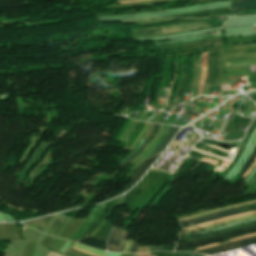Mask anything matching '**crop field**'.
<instances>
[{
	"label": "crop field",
	"instance_id": "obj_19",
	"mask_svg": "<svg viewBox=\"0 0 256 256\" xmlns=\"http://www.w3.org/2000/svg\"><path fill=\"white\" fill-rule=\"evenodd\" d=\"M50 218H51V216L43 218V219L32 221V223L30 224L29 227L37 229V230L42 232V230L44 229L45 225L47 224V222L49 221Z\"/></svg>",
	"mask_w": 256,
	"mask_h": 256
},
{
	"label": "crop field",
	"instance_id": "obj_6",
	"mask_svg": "<svg viewBox=\"0 0 256 256\" xmlns=\"http://www.w3.org/2000/svg\"><path fill=\"white\" fill-rule=\"evenodd\" d=\"M252 244H256V237L229 243V244H225V245H220V246H216V247H212V248H208V249H205L202 251H197V252L203 253V254H216V253L225 252V251H229V250H232L235 248L252 245Z\"/></svg>",
	"mask_w": 256,
	"mask_h": 256
},
{
	"label": "crop field",
	"instance_id": "obj_11",
	"mask_svg": "<svg viewBox=\"0 0 256 256\" xmlns=\"http://www.w3.org/2000/svg\"><path fill=\"white\" fill-rule=\"evenodd\" d=\"M179 127L171 126L168 134L164 137V139L161 141V143L158 145V147L155 149V151L152 153L151 156L154 154L161 152L164 150V148L167 146V144L170 142L171 138L175 134V132L178 130ZM150 156V157H151Z\"/></svg>",
	"mask_w": 256,
	"mask_h": 256
},
{
	"label": "crop field",
	"instance_id": "obj_1",
	"mask_svg": "<svg viewBox=\"0 0 256 256\" xmlns=\"http://www.w3.org/2000/svg\"><path fill=\"white\" fill-rule=\"evenodd\" d=\"M212 27L213 26L210 25L207 21L205 22V20H199V21L181 23V24H176V25L162 26V27H157V28H145V29H141V30H131V31H145V30H153V29H158V28H161L162 30L154 31V32L133 33V34H145V33H155V32L164 31V33H159V34L132 36L133 38H139V37L166 35V34L190 31V30H194V29L212 28Z\"/></svg>",
	"mask_w": 256,
	"mask_h": 256
},
{
	"label": "crop field",
	"instance_id": "obj_34",
	"mask_svg": "<svg viewBox=\"0 0 256 256\" xmlns=\"http://www.w3.org/2000/svg\"><path fill=\"white\" fill-rule=\"evenodd\" d=\"M256 164V159L254 161V163L252 164V166L246 171V173L243 176V179L245 178V176L250 172V170L254 167V165Z\"/></svg>",
	"mask_w": 256,
	"mask_h": 256
},
{
	"label": "crop field",
	"instance_id": "obj_23",
	"mask_svg": "<svg viewBox=\"0 0 256 256\" xmlns=\"http://www.w3.org/2000/svg\"><path fill=\"white\" fill-rule=\"evenodd\" d=\"M168 128H169V127L165 126V128H164V130H163L161 136L159 137V139L154 143V145H153V146L151 147V149L147 152V154H146L144 157L140 158L138 161H140V160H142V159H145V158H147V157H149V156L151 155V153H152L153 150L156 148V146L158 145V143L161 141V139H162V138L164 137V135L167 133Z\"/></svg>",
	"mask_w": 256,
	"mask_h": 256
},
{
	"label": "crop field",
	"instance_id": "obj_36",
	"mask_svg": "<svg viewBox=\"0 0 256 256\" xmlns=\"http://www.w3.org/2000/svg\"><path fill=\"white\" fill-rule=\"evenodd\" d=\"M180 256H204V255H196V254L187 253V254H183Z\"/></svg>",
	"mask_w": 256,
	"mask_h": 256
},
{
	"label": "crop field",
	"instance_id": "obj_22",
	"mask_svg": "<svg viewBox=\"0 0 256 256\" xmlns=\"http://www.w3.org/2000/svg\"><path fill=\"white\" fill-rule=\"evenodd\" d=\"M255 220L256 219H251V220H247V221H243V222H239V223H235V224H231V225H227V226H223V227H219V228H214V229L206 230V231L199 232V233H194V234L186 235V236H183L181 238H185V237H189V236H193V235H197V234H202V233H207V232H212V231L228 228V227H231V226H235V225H239V224H243V223H247V222H251V221H255Z\"/></svg>",
	"mask_w": 256,
	"mask_h": 256
},
{
	"label": "crop field",
	"instance_id": "obj_15",
	"mask_svg": "<svg viewBox=\"0 0 256 256\" xmlns=\"http://www.w3.org/2000/svg\"><path fill=\"white\" fill-rule=\"evenodd\" d=\"M255 202L256 201H254L252 203H255ZM247 204H251V203H243V204L233 205V206H229V207H225V208H221V209H217V210H213V211L202 212V213H199V214H195V215H191V216H188V217L180 218L178 220L179 221L188 220V219L196 218V217H199V216L207 215V214H210V213H214V212H217V211H221V210H225V209H229V208L237 207V206H243V205H247Z\"/></svg>",
	"mask_w": 256,
	"mask_h": 256
},
{
	"label": "crop field",
	"instance_id": "obj_32",
	"mask_svg": "<svg viewBox=\"0 0 256 256\" xmlns=\"http://www.w3.org/2000/svg\"><path fill=\"white\" fill-rule=\"evenodd\" d=\"M142 162H143V161H142ZM142 162H139V163L135 164V166L133 167V169L131 170V172L127 175V177H129V176L136 170V168H137Z\"/></svg>",
	"mask_w": 256,
	"mask_h": 256
},
{
	"label": "crop field",
	"instance_id": "obj_38",
	"mask_svg": "<svg viewBox=\"0 0 256 256\" xmlns=\"http://www.w3.org/2000/svg\"><path fill=\"white\" fill-rule=\"evenodd\" d=\"M26 229H27V227L23 225V227H22V234H23V232H24Z\"/></svg>",
	"mask_w": 256,
	"mask_h": 256
},
{
	"label": "crop field",
	"instance_id": "obj_28",
	"mask_svg": "<svg viewBox=\"0 0 256 256\" xmlns=\"http://www.w3.org/2000/svg\"><path fill=\"white\" fill-rule=\"evenodd\" d=\"M255 156H256V147H255V149H254V151H253V153H252V155H251L249 161L246 163V165H245V166L243 167V169L240 171L241 174H244V172L247 170V168L250 166V164H251L252 161L254 160Z\"/></svg>",
	"mask_w": 256,
	"mask_h": 256
},
{
	"label": "crop field",
	"instance_id": "obj_35",
	"mask_svg": "<svg viewBox=\"0 0 256 256\" xmlns=\"http://www.w3.org/2000/svg\"><path fill=\"white\" fill-rule=\"evenodd\" d=\"M137 1H144V0H126V1H118L117 3H128V2H137Z\"/></svg>",
	"mask_w": 256,
	"mask_h": 256
},
{
	"label": "crop field",
	"instance_id": "obj_5",
	"mask_svg": "<svg viewBox=\"0 0 256 256\" xmlns=\"http://www.w3.org/2000/svg\"><path fill=\"white\" fill-rule=\"evenodd\" d=\"M127 232L122 231V229L115 228L111 232L108 238L107 248L112 252H121L125 244L127 237Z\"/></svg>",
	"mask_w": 256,
	"mask_h": 256
},
{
	"label": "crop field",
	"instance_id": "obj_10",
	"mask_svg": "<svg viewBox=\"0 0 256 256\" xmlns=\"http://www.w3.org/2000/svg\"><path fill=\"white\" fill-rule=\"evenodd\" d=\"M67 220H68V217L63 216V215L57 217V219L55 220L49 234L52 235V236L58 237L60 235L63 227L65 226Z\"/></svg>",
	"mask_w": 256,
	"mask_h": 256
},
{
	"label": "crop field",
	"instance_id": "obj_26",
	"mask_svg": "<svg viewBox=\"0 0 256 256\" xmlns=\"http://www.w3.org/2000/svg\"><path fill=\"white\" fill-rule=\"evenodd\" d=\"M55 240H56V238L46 235V237L42 241L41 245H44V246L50 248Z\"/></svg>",
	"mask_w": 256,
	"mask_h": 256
},
{
	"label": "crop field",
	"instance_id": "obj_40",
	"mask_svg": "<svg viewBox=\"0 0 256 256\" xmlns=\"http://www.w3.org/2000/svg\"><path fill=\"white\" fill-rule=\"evenodd\" d=\"M238 1H243V0H238Z\"/></svg>",
	"mask_w": 256,
	"mask_h": 256
},
{
	"label": "crop field",
	"instance_id": "obj_29",
	"mask_svg": "<svg viewBox=\"0 0 256 256\" xmlns=\"http://www.w3.org/2000/svg\"><path fill=\"white\" fill-rule=\"evenodd\" d=\"M52 153H53V152L50 151V153L48 154V156L46 157V159L43 161V163H42L35 171H33V172L31 173V176H30L29 179H31V178L35 175V173L48 161V159L51 157Z\"/></svg>",
	"mask_w": 256,
	"mask_h": 256
},
{
	"label": "crop field",
	"instance_id": "obj_27",
	"mask_svg": "<svg viewBox=\"0 0 256 256\" xmlns=\"http://www.w3.org/2000/svg\"><path fill=\"white\" fill-rule=\"evenodd\" d=\"M182 71H183V76H182V79H181V81H180V83H179L176 101L179 100V97H180V94H181L182 82H183V80H184V78H185V58H184V60H183Z\"/></svg>",
	"mask_w": 256,
	"mask_h": 256
},
{
	"label": "crop field",
	"instance_id": "obj_16",
	"mask_svg": "<svg viewBox=\"0 0 256 256\" xmlns=\"http://www.w3.org/2000/svg\"><path fill=\"white\" fill-rule=\"evenodd\" d=\"M252 217H256V215L247 216V217H243V218H239V219L230 220V221H227V222H224V223H220V224H216V225H212V226H207V227L195 229V230H192V231H189V232L181 233L180 235L188 234V233H193V232H198V231L210 229V228H213V227H216V226H220V225H223V224L232 223V222H237V221L245 220V219L252 218Z\"/></svg>",
	"mask_w": 256,
	"mask_h": 256
},
{
	"label": "crop field",
	"instance_id": "obj_18",
	"mask_svg": "<svg viewBox=\"0 0 256 256\" xmlns=\"http://www.w3.org/2000/svg\"><path fill=\"white\" fill-rule=\"evenodd\" d=\"M248 7H256V0L235 2L231 4V10Z\"/></svg>",
	"mask_w": 256,
	"mask_h": 256
},
{
	"label": "crop field",
	"instance_id": "obj_8",
	"mask_svg": "<svg viewBox=\"0 0 256 256\" xmlns=\"http://www.w3.org/2000/svg\"><path fill=\"white\" fill-rule=\"evenodd\" d=\"M161 154V153H160ZM157 154L155 156H153L150 159L145 160L139 167L138 169L132 174V176L130 178L133 179V182L127 186L124 190L130 188L133 183L144 173V171L157 159V157L160 155ZM146 172V171H145Z\"/></svg>",
	"mask_w": 256,
	"mask_h": 256
},
{
	"label": "crop field",
	"instance_id": "obj_25",
	"mask_svg": "<svg viewBox=\"0 0 256 256\" xmlns=\"http://www.w3.org/2000/svg\"><path fill=\"white\" fill-rule=\"evenodd\" d=\"M252 236H256V234L248 235V236H243V237H239V238H235V239H231V240H229V242L241 240V239L252 237ZM229 242H226V243H229ZM222 244H224V243H222ZM216 245H220V244H218V243L210 244V245H207L205 247L196 248L195 251L202 250V249H205V248H208V247H212V246H216Z\"/></svg>",
	"mask_w": 256,
	"mask_h": 256
},
{
	"label": "crop field",
	"instance_id": "obj_20",
	"mask_svg": "<svg viewBox=\"0 0 256 256\" xmlns=\"http://www.w3.org/2000/svg\"><path fill=\"white\" fill-rule=\"evenodd\" d=\"M164 126L162 125L159 132L155 135V137L148 143V145L144 148V150L140 153V155L138 157H136L134 160H132L130 163H134L136 162L140 157L144 156L146 154V152L149 150V148L151 147V145L155 142V140L158 138V136L161 134L162 130H163ZM129 163V164H130Z\"/></svg>",
	"mask_w": 256,
	"mask_h": 256
},
{
	"label": "crop field",
	"instance_id": "obj_30",
	"mask_svg": "<svg viewBox=\"0 0 256 256\" xmlns=\"http://www.w3.org/2000/svg\"><path fill=\"white\" fill-rule=\"evenodd\" d=\"M144 141H145V139L142 138L141 141H140V143L138 144L137 148H136L132 153H130L128 156H126L123 160H125V159L129 158L131 155H133V154L139 149V147L142 145V143H143ZM123 160H122V161H123ZM122 161L119 162V163L121 164Z\"/></svg>",
	"mask_w": 256,
	"mask_h": 256
},
{
	"label": "crop field",
	"instance_id": "obj_13",
	"mask_svg": "<svg viewBox=\"0 0 256 256\" xmlns=\"http://www.w3.org/2000/svg\"><path fill=\"white\" fill-rule=\"evenodd\" d=\"M53 142L47 144V142H43L41 147L37 150L35 156L33 157L32 161L24 168L21 177L25 175V173L28 171V169L36 162V160L39 158V156L42 154V152L45 150V148L49 145H51Z\"/></svg>",
	"mask_w": 256,
	"mask_h": 256
},
{
	"label": "crop field",
	"instance_id": "obj_2",
	"mask_svg": "<svg viewBox=\"0 0 256 256\" xmlns=\"http://www.w3.org/2000/svg\"><path fill=\"white\" fill-rule=\"evenodd\" d=\"M252 232H256V225L252 226V227L242 228V229H238L235 231L223 233V234L216 235V236L209 237V238H204V239L191 241V242L180 243V244H178L176 251L187 250V249H191V248H194L197 246L207 245V244L213 243L218 240H222V239H226V238H230V237H234V236H238V235H242V234H246V233H252Z\"/></svg>",
	"mask_w": 256,
	"mask_h": 256
},
{
	"label": "crop field",
	"instance_id": "obj_17",
	"mask_svg": "<svg viewBox=\"0 0 256 256\" xmlns=\"http://www.w3.org/2000/svg\"><path fill=\"white\" fill-rule=\"evenodd\" d=\"M254 224H256V222L255 223H251V224H246V225H241V226L229 228V229H225V230H221V231H217V232H213V233H208V234H204V235L195 236V237H192V238H189V239H183V240H180L179 243L180 242H184V241L195 240V239H198V238H201V237L211 236V235H214V234H218V233H222V232H225V231H229V230H233V229H238V228H242V227H246V226L254 225Z\"/></svg>",
	"mask_w": 256,
	"mask_h": 256
},
{
	"label": "crop field",
	"instance_id": "obj_37",
	"mask_svg": "<svg viewBox=\"0 0 256 256\" xmlns=\"http://www.w3.org/2000/svg\"><path fill=\"white\" fill-rule=\"evenodd\" d=\"M256 179V175L250 180L249 185Z\"/></svg>",
	"mask_w": 256,
	"mask_h": 256
},
{
	"label": "crop field",
	"instance_id": "obj_21",
	"mask_svg": "<svg viewBox=\"0 0 256 256\" xmlns=\"http://www.w3.org/2000/svg\"><path fill=\"white\" fill-rule=\"evenodd\" d=\"M159 125L155 124V128L154 130L151 132V137L147 138L146 141L143 143V145L140 147V149L137 151V153L135 155H133L131 158L127 159L125 162H123L121 165H125L128 164L132 159H134L139 153L140 151L144 148V146L150 141V139L154 136V134L156 133L157 129H158Z\"/></svg>",
	"mask_w": 256,
	"mask_h": 256
},
{
	"label": "crop field",
	"instance_id": "obj_39",
	"mask_svg": "<svg viewBox=\"0 0 256 256\" xmlns=\"http://www.w3.org/2000/svg\"><path fill=\"white\" fill-rule=\"evenodd\" d=\"M31 223V221L30 222H26V223H24V224H26V225H28L29 226V224Z\"/></svg>",
	"mask_w": 256,
	"mask_h": 256
},
{
	"label": "crop field",
	"instance_id": "obj_31",
	"mask_svg": "<svg viewBox=\"0 0 256 256\" xmlns=\"http://www.w3.org/2000/svg\"><path fill=\"white\" fill-rule=\"evenodd\" d=\"M137 249H138V244L134 241L133 247H132V249H131L130 252L136 253V252H137Z\"/></svg>",
	"mask_w": 256,
	"mask_h": 256
},
{
	"label": "crop field",
	"instance_id": "obj_12",
	"mask_svg": "<svg viewBox=\"0 0 256 256\" xmlns=\"http://www.w3.org/2000/svg\"><path fill=\"white\" fill-rule=\"evenodd\" d=\"M72 248L83 251V252H85L89 255H92V256H105V252H103V251H98V250H95L93 248L83 246V245H79V244H76V243H74L72 245Z\"/></svg>",
	"mask_w": 256,
	"mask_h": 256
},
{
	"label": "crop field",
	"instance_id": "obj_4",
	"mask_svg": "<svg viewBox=\"0 0 256 256\" xmlns=\"http://www.w3.org/2000/svg\"><path fill=\"white\" fill-rule=\"evenodd\" d=\"M252 207H256V205L250 206V207H245V208L226 210V211H222V212H219V213L203 216V217H200L198 219L183 221V222H180V223H181L182 227L184 228V227L204 223V222H207V221H210V220H213V219H218V218L226 217V216L233 215V214H238V213H243V212L256 210V209H252V210H247V211H243V212L238 211V210H241V209L252 208Z\"/></svg>",
	"mask_w": 256,
	"mask_h": 256
},
{
	"label": "crop field",
	"instance_id": "obj_3",
	"mask_svg": "<svg viewBox=\"0 0 256 256\" xmlns=\"http://www.w3.org/2000/svg\"><path fill=\"white\" fill-rule=\"evenodd\" d=\"M219 69V49L209 51L204 83L215 85L219 74Z\"/></svg>",
	"mask_w": 256,
	"mask_h": 256
},
{
	"label": "crop field",
	"instance_id": "obj_7",
	"mask_svg": "<svg viewBox=\"0 0 256 256\" xmlns=\"http://www.w3.org/2000/svg\"><path fill=\"white\" fill-rule=\"evenodd\" d=\"M104 206L105 204L95 207L92 213L89 215V217L84 221V223L80 226V228L69 240L75 241L76 239L80 238L83 235V233L87 230V228L91 226L93 222L97 219L100 211L104 208Z\"/></svg>",
	"mask_w": 256,
	"mask_h": 256
},
{
	"label": "crop field",
	"instance_id": "obj_24",
	"mask_svg": "<svg viewBox=\"0 0 256 256\" xmlns=\"http://www.w3.org/2000/svg\"><path fill=\"white\" fill-rule=\"evenodd\" d=\"M206 61H207V56L204 55L203 58H202L203 73H202V78H201V82H200V88H199L198 95H202V85H203L204 76H205Z\"/></svg>",
	"mask_w": 256,
	"mask_h": 256
},
{
	"label": "crop field",
	"instance_id": "obj_14",
	"mask_svg": "<svg viewBox=\"0 0 256 256\" xmlns=\"http://www.w3.org/2000/svg\"><path fill=\"white\" fill-rule=\"evenodd\" d=\"M254 213H256V211L245 213V214H239V215H234V216L226 217V218H223V219H220V220H215V221L207 222V223H204V224L188 227V228H185L184 231L185 230L199 228V227L210 225V224H214V223H218V222H222V221L229 220V219H234V218H238V217L254 214Z\"/></svg>",
	"mask_w": 256,
	"mask_h": 256
},
{
	"label": "crop field",
	"instance_id": "obj_33",
	"mask_svg": "<svg viewBox=\"0 0 256 256\" xmlns=\"http://www.w3.org/2000/svg\"><path fill=\"white\" fill-rule=\"evenodd\" d=\"M48 256H63V255H60L59 253H55V251H49Z\"/></svg>",
	"mask_w": 256,
	"mask_h": 256
},
{
	"label": "crop field",
	"instance_id": "obj_9",
	"mask_svg": "<svg viewBox=\"0 0 256 256\" xmlns=\"http://www.w3.org/2000/svg\"><path fill=\"white\" fill-rule=\"evenodd\" d=\"M76 242H79V243H82L85 245H89V246H93V247H96L101 250H106V241L96 239V238H93V237H90L87 235H85L83 238L77 240Z\"/></svg>",
	"mask_w": 256,
	"mask_h": 256
}]
</instances>
